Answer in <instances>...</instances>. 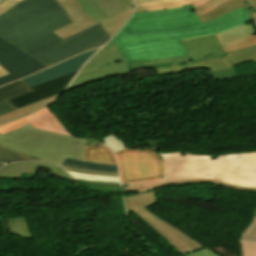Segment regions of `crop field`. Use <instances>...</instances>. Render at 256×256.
<instances>
[{"instance_id":"obj_1","label":"crop field","mask_w":256,"mask_h":256,"mask_svg":"<svg viewBox=\"0 0 256 256\" xmlns=\"http://www.w3.org/2000/svg\"><path fill=\"white\" fill-rule=\"evenodd\" d=\"M194 10L189 5L134 13L114 37L127 63L185 55L187 53L181 39L218 34L249 23L247 7L229 12L206 24L199 21Z\"/></svg>"},{"instance_id":"obj_2","label":"crop field","mask_w":256,"mask_h":256,"mask_svg":"<svg viewBox=\"0 0 256 256\" xmlns=\"http://www.w3.org/2000/svg\"><path fill=\"white\" fill-rule=\"evenodd\" d=\"M167 166L162 179L131 183L132 188L188 178H211L235 185L256 187V152L217 156L190 155L186 152L158 154Z\"/></svg>"},{"instance_id":"obj_3","label":"crop field","mask_w":256,"mask_h":256,"mask_svg":"<svg viewBox=\"0 0 256 256\" xmlns=\"http://www.w3.org/2000/svg\"><path fill=\"white\" fill-rule=\"evenodd\" d=\"M68 23L70 20L56 0L0 2V35L16 47Z\"/></svg>"},{"instance_id":"obj_4","label":"crop field","mask_w":256,"mask_h":256,"mask_svg":"<svg viewBox=\"0 0 256 256\" xmlns=\"http://www.w3.org/2000/svg\"><path fill=\"white\" fill-rule=\"evenodd\" d=\"M86 140L34 128L31 124L0 134V145L18 153L61 165L66 157L83 160ZM64 169L88 174L118 176V173L82 170L61 165Z\"/></svg>"},{"instance_id":"obj_5","label":"crop field","mask_w":256,"mask_h":256,"mask_svg":"<svg viewBox=\"0 0 256 256\" xmlns=\"http://www.w3.org/2000/svg\"><path fill=\"white\" fill-rule=\"evenodd\" d=\"M155 203L156 198L154 190L125 198L127 212L132 211L180 254L193 252L204 247L145 209Z\"/></svg>"},{"instance_id":"obj_6","label":"crop field","mask_w":256,"mask_h":256,"mask_svg":"<svg viewBox=\"0 0 256 256\" xmlns=\"http://www.w3.org/2000/svg\"><path fill=\"white\" fill-rule=\"evenodd\" d=\"M109 39V36L98 24L32 56L49 67L86 50L100 47Z\"/></svg>"},{"instance_id":"obj_7","label":"crop field","mask_w":256,"mask_h":256,"mask_svg":"<svg viewBox=\"0 0 256 256\" xmlns=\"http://www.w3.org/2000/svg\"><path fill=\"white\" fill-rule=\"evenodd\" d=\"M122 183L158 179L166 168L155 152L124 149L115 152Z\"/></svg>"},{"instance_id":"obj_8","label":"crop field","mask_w":256,"mask_h":256,"mask_svg":"<svg viewBox=\"0 0 256 256\" xmlns=\"http://www.w3.org/2000/svg\"><path fill=\"white\" fill-rule=\"evenodd\" d=\"M255 34L256 31L250 24L217 36L187 40L183 41V43L191 58V62L194 63L207 59L226 57L221 45Z\"/></svg>"},{"instance_id":"obj_9","label":"crop field","mask_w":256,"mask_h":256,"mask_svg":"<svg viewBox=\"0 0 256 256\" xmlns=\"http://www.w3.org/2000/svg\"><path fill=\"white\" fill-rule=\"evenodd\" d=\"M0 65L10 74L0 78V85L12 82L46 68L0 36Z\"/></svg>"},{"instance_id":"obj_10","label":"crop field","mask_w":256,"mask_h":256,"mask_svg":"<svg viewBox=\"0 0 256 256\" xmlns=\"http://www.w3.org/2000/svg\"><path fill=\"white\" fill-rule=\"evenodd\" d=\"M196 69H210L214 81L238 78L234 67L227 58L202 61L194 64L156 68L157 76Z\"/></svg>"},{"instance_id":"obj_11","label":"crop field","mask_w":256,"mask_h":256,"mask_svg":"<svg viewBox=\"0 0 256 256\" xmlns=\"http://www.w3.org/2000/svg\"><path fill=\"white\" fill-rule=\"evenodd\" d=\"M62 9L68 15L72 23L54 31L62 40L81 31L98 24V21L86 15L77 0H67L60 3Z\"/></svg>"},{"instance_id":"obj_12","label":"crop field","mask_w":256,"mask_h":256,"mask_svg":"<svg viewBox=\"0 0 256 256\" xmlns=\"http://www.w3.org/2000/svg\"><path fill=\"white\" fill-rule=\"evenodd\" d=\"M86 14L102 22L130 7L132 0H78Z\"/></svg>"},{"instance_id":"obj_13","label":"crop field","mask_w":256,"mask_h":256,"mask_svg":"<svg viewBox=\"0 0 256 256\" xmlns=\"http://www.w3.org/2000/svg\"><path fill=\"white\" fill-rule=\"evenodd\" d=\"M73 78V77H72ZM72 78L0 103V114L46 99L64 91Z\"/></svg>"},{"instance_id":"obj_14","label":"crop field","mask_w":256,"mask_h":256,"mask_svg":"<svg viewBox=\"0 0 256 256\" xmlns=\"http://www.w3.org/2000/svg\"><path fill=\"white\" fill-rule=\"evenodd\" d=\"M83 64L27 87L21 80L0 87V102L76 75Z\"/></svg>"},{"instance_id":"obj_15","label":"crop field","mask_w":256,"mask_h":256,"mask_svg":"<svg viewBox=\"0 0 256 256\" xmlns=\"http://www.w3.org/2000/svg\"><path fill=\"white\" fill-rule=\"evenodd\" d=\"M130 72L131 71L128 70V66L125 61L107 67L89 70L78 74L67 90L78 88L85 84L96 82L112 75H124Z\"/></svg>"},{"instance_id":"obj_16","label":"crop field","mask_w":256,"mask_h":256,"mask_svg":"<svg viewBox=\"0 0 256 256\" xmlns=\"http://www.w3.org/2000/svg\"><path fill=\"white\" fill-rule=\"evenodd\" d=\"M38 166L50 169L52 170L51 171L52 173L60 177L73 180L59 166H56L50 163H45V162H25V163L8 164L0 169V178H20L22 172L35 174Z\"/></svg>"},{"instance_id":"obj_17","label":"crop field","mask_w":256,"mask_h":256,"mask_svg":"<svg viewBox=\"0 0 256 256\" xmlns=\"http://www.w3.org/2000/svg\"><path fill=\"white\" fill-rule=\"evenodd\" d=\"M97 50L98 49L89 51V52L84 53L80 56H77V57L72 58L70 60L64 61V62L59 63L57 65H54V66H52L48 69H45V70H43L39 73H36V74L31 75L29 77H26V78L22 79V81L27 86H29L33 83H36V82L40 81V80H43L45 78H48L50 76H53L55 74H58L60 72L65 71V70H68V69H70L74 66H77V65L81 64V63H85ZM40 75H42V76H40Z\"/></svg>"},{"instance_id":"obj_18","label":"crop field","mask_w":256,"mask_h":256,"mask_svg":"<svg viewBox=\"0 0 256 256\" xmlns=\"http://www.w3.org/2000/svg\"><path fill=\"white\" fill-rule=\"evenodd\" d=\"M27 119L36 128L72 136L69 131L63 126V124L58 120V118L48 108H45L42 111L27 116Z\"/></svg>"},{"instance_id":"obj_19","label":"crop field","mask_w":256,"mask_h":256,"mask_svg":"<svg viewBox=\"0 0 256 256\" xmlns=\"http://www.w3.org/2000/svg\"><path fill=\"white\" fill-rule=\"evenodd\" d=\"M123 57L120 55L113 39L104 46L98 53H96L81 70L86 71L93 68H98L106 65H110L116 62L123 61ZM83 73V72H82ZM80 74V73H79Z\"/></svg>"},{"instance_id":"obj_20","label":"crop field","mask_w":256,"mask_h":256,"mask_svg":"<svg viewBox=\"0 0 256 256\" xmlns=\"http://www.w3.org/2000/svg\"><path fill=\"white\" fill-rule=\"evenodd\" d=\"M61 94L53 96V97L48 98V99L43 100V101L36 102L34 104H31V105H28V106H25V107H22L20 109L13 110V111L8 112L6 114L0 115V124L8 122V121L13 120V119L25 117V116H27V115H29V114H31V113L39 110V109H42L46 106L54 104L60 98Z\"/></svg>"},{"instance_id":"obj_21","label":"crop field","mask_w":256,"mask_h":256,"mask_svg":"<svg viewBox=\"0 0 256 256\" xmlns=\"http://www.w3.org/2000/svg\"><path fill=\"white\" fill-rule=\"evenodd\" d=\"M135 3V12L169 9L190 4L189 0H135Z\"/></svg>"},{"instance_id":"obj_22","label":"crop field","mask_w":256,"mask_h":256,"mask_svg":"<svg viewBox=\"0 0 256 256\" xmlns=\"http://www.w3.org/2000/svg\"><path fill=\"white\" fill-rule=\"evenodd\" d=\"M200 182H209V183L221 185L223 187L234 189V190L256 192V188L240 187V186H235V185H231V184H227V183H223V182H219V181H215V180H211V179H188V180H181V181H173V182H167L164 184L148 187L146 189H131V186L129 184V186L123 187V191L138 190L140 192H144V191L155 189L160 186H165V185H170V184L181 185V184H186V183H200Z\"/></svg>"},{"instance_id":"obj_23","label":"crop field","mask_w":256,"mask_h":256,"mask_svg":"<svg viewBox=\"0 0 256 256\" xmlns=\"http://www.w3.org/2000/svg\"><path fill=\"white\" fill-rule=\"evenodd\" d=\"M83 161L116 165L114 155L103 145L97 148L86 147Z\"/></svg>"},{"instance_id":"obj_24","label":"crop field","mask_w":256,"mask_h":256,"mask_svg":"<svg viewBox=\"0 0 256 256\" xmlns=\"http://www.w3.org/2000/svg\"><path fill=\"white\" fill-rule=\"evenodd\" d=\"M61 41L53 32L18 47L20 50L32 55L57 42Z\"/></svg>"},{"instance_id":"obj_25","label":"crop field","mask_w":256,"mask_h":256,"mask_svg":"<svg viewBox=\"0 0 256 256\" xmlns=\"http://www.w3.org/2000/svg\"><path fill=\"white\" fill-rule=\"evenodd\" d=\"M186 63H190L188 55L176 57V58L160 59V60L130 64L129 69L136 70V69L155 68V67H161V66L178 65V64H186Z\"/></svg>"},{"instance_id":"obj_26","label":"crop field","mask_w":256,"mask_h":256,"mask_svg":"<svg viewBox=\"0 0 256 256\" xmlns=\"http://www.w3.org/2000/svg\"><path fill=\"white\" fill-rule=\"evenodd\" d=\"M244 6H246L245 0H230V1H227L223 4H221L219 7L208 12L207 14L200 17L199 19H200V21L205 23V22L210 21L216 17H219L229 11H232L234 9L244 7Z\"/></svg>"},{"instance_id":"obj_27","label":"crop field","mask_w":256,"mask_h":256,"mask_svg":"<svg viewBox=\"0 0 256 256\" xmlns=\"http://www.w3.org/2000/svg\"><path fill=\"white\" fill-rule=\"evenodd\" d=\"M232 65L253 61L256 63V45L226 54Z\"/></svg>"},{"instance_id":"obj_28","label":"crop field","mask_w":256,"mask_h":256,"mask_svg":"<svg viewBox=\"0 0 256 256\" xmlns=\"http://www.w3.org/2000/svg\"><path fill=\"white\" fill-rule=\"evenodd\" d=\"M134 7L115 16L112 17L102 23L101 26L107 32V34L111 37L115 35V33L119 30V28L124 24V22L130 17Z\"/></svg>"},{"instance_id":"obj_29","label":"crop field","mask_w":256,"mask_h":256,"mask_svg":"<svg viewBox=\"0 0 256 256\" xmlns=\"http://www.w3.org/2000/svg\"><path fill=\"white\" fill-rule=\"evenodd\" d=\"M8 221L11 234H16L24 239H33L26 217L8 219Z\"/></svg>"},{"instance_id":"obj_30","label":"crop field","mask_w":256,"mask_h":256,"mask_svg":"<svg viewBox=\"0 0 256 256\" xmlns=\"http://www.w3.org/2000/svg\"><path fill=\"white\" fill-rule=\"evenodd\" d=\"M63 165H68V166H72V167H76V168H83V169L118 172L117 166H114V165L86 163V162H80V161H76V160H72V159H68V158H66V160L63 162Z\"/></svg>"},{"instance_id":"obj_31","label":"crop field","mask_w":256,"mask_h":256,"mask_svg":"<svg viewBox=\"0 0 256 256\" xmlns=\"http://www.w3.org/2000/svg\"><path fill=\"white\" fill-rule=\"evenodd\" d=\"M194 8L196 9L194 12L197 17L204 15L208 11L216 8L221 3L227 0H190Z\"/></svg>"},{"instance_id":"obj_32","label":"crop field","mask_w":256,"mask_h":256,"mask_svg":"<svg viewBox=\"0 0 256 256\" xmlns=\"http://www.w3.org/2000/svg\"><path fill=\"white\" fill-rule=\"evenodd\" d=\"M36 160L0 147V162L9 163L16 161Z\"/></svg>"},{"instance_id":"obj_33","label":"crop field","mask_w":256,"mask_h":256,"mask_svg":"<svg viewBox=\"0 0 256 256\" xmlns=\"http://www.w3.org/2000/svg\"><path fill=\"white\" fill-rule=\"evenodd\" d=\"M256 44V35L252 37H247L238 41H235L233 43L227 44L223 47V50L225 53L230 52L235 49H242L251 45Z\"/></svg>"},{"instance_id":"obj_34","label":"crop field","mask_w":256,"mask_h":256,"mask_svg":"<svg viewBox=\"0 0 256 256\" xmlns=\"http://www.w3.org/2000/svg\"><path fill=\"white\" fill-rule=\"evenodd\" d=\"M70 176L78 178V179H85V180H96V181H106V182H119V177H112V176H102V175H88V174H81L67 171Z\"/></svg>"},{"instance_id":"obj_35","label":"crop field","mask_w":256,"mask_h":256,"mask_svg":"<svg viewBox=\"0 0 256 256\" xmlns=\"http://www.w3.org/2000/svg\"><path fill=\"white\" fill-rule=\"evenodd\" d=\"M103 144L110 147L113 152L127 148L115 134L109 135L104 138Z\"/></svg>"},{"instance_id":"obj_36","label":"crop field","mask_w":256,"mask_h":256,"mask_svg":"<svg viewBox=\"0 0 256 256\" xmlns=\"http://www.w3.org/2000/svg\"><path fill=\"white\" fill-rule=\"evenodd\" d=\"M242 256H256V241L240 240Z\"/></svg>"},{"instance_id":"obj_37","label":"crop field","mask_w":256,"mask_h":256,"mask_svg":"<svg viewBox=\"0 0 256 256\" xmlns=\"http://www.w3.org/2000/svg\"><path fill=\"white\" fill-rule=\"evenodd\" d=\"M239 239L256 240V216H253L249 226L244 230Z\"/></svg>"},{"instance_id":"obj_38","label":"crop field","mask_w":256,"mask_h":256,"mask_svg":"<svg viewBox=\"0 0 256 256\" xmlns=\"http://www.w3.org/2000/svg\"><path fill=\"white\" fill-rule=\"evenodd\" d=\"M29 124V121L25 118L18 119L12 122H9L3 126H0V133L4 134L8 131H11L15 128L21 127L23 125Z\"/></svg>"},{"instance_id":"obj_39","label":"crop field","mask_w":256,"mask_h":256,"mask_svg":"<svg viewBox=\"0 0 256 256\" xmlns=\"http://www.w3.org/2000/svg\"><path fill=\"white\" fill-rule=\"evenodd\" d=\"M182 256H218V255L204 247V248L199 249L193 253L185 254Z\"/></svg>"},{"instance_id":"obj_40","label":"crop field","mask_w":256,"mask_h":256,"mask_svg":"<svg viewBox=\"0 0 256 256\" xmlns=\"http://www.w3.org/2000/svg\"><path fill=\"white\" fill-rule=\"evenodd\" d=\"M6 74H8V72L5 71V70L0 66V77L4 76V75H6Z\"/></svg>"},{"instance_id":"obj_41","label":"crop field","mask_w":256,"mask_h":256,"mask_svg":"<svg viewBox=\"0 0 256 256\" xmlns=\"http://www.w3.org/2000/svg\"><path fill=\"white\" fill-rule=\"evenodd\" d=\"M250 4L256 8V0H249Z\"/></svg>"},{"instance_id":"obj_42","label":"crop field","mask_w":256,"mask_h":256,"mask_svg":"<svg viewBox=\"0 0 256 256\" xmlns=\"http://www.w3.org/2000/svg\"><path fill=\"white\" fill-rule=\"evenodd\" d=\"M253 16H254V23H255V27H256V12L253 11Z\"/></svg>"},{"instance_id":"obj_43","label":"crop field","mask_w":256,"mask_h":256,"mask_svg":"<svg viewBox=\"0 0 256 256\" xmlns=\"http://www.w3.org/2000/svg\"><path fill=\"white\" fill-rule=\"evenodd\" d=\"M62 1H65V0H57L58 3L62 2Z\"/></svg>"},{"instance_id":"obj_44","label":"crop field","mask_w":256,"mask_h":256,"mask_svg":"<svg viewBox=\"0 0 256 256\" xmlns=\"http://www.w3.org/2000/svg\"><path fill=\"white\" fill-rule=\"evenodd\" d=\"M254 215H256V209H255V211H254Z\"/></svg>"},{"instance_id":"obj_45","label":"crop field","mask_w":256,"mask_h":256,"mask_svg":"<svg viewBox=\"0 0 256 256\" xmlns=\"http://www.w3.org/2000/svg\"><path fill=\"white\" fill-rule=\"evenodd\" d=\"M4 164H0V167L3 166Z\"/></svg>"}]
</instances>
